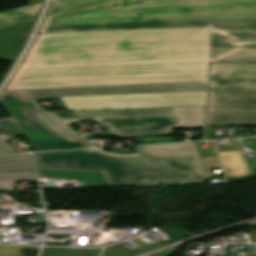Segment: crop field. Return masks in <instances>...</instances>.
<instances>
[{"mask_svg": "<svg viewBox=\"0 0 256 256\" xmlns=\"http://www.w3.org/2000/svg\"><path fill=\"white\" fill-rule=\"evenodd\" d=\"M38 1H40V0H30V4H34V3L38 2Z\"/></svg>", "mask_w": 256, "mask_h": 256, "instance_id": "21", "label": "crop field"}, {"mask_svg": "<svg viewBox=\"0 0 256 256\" xmlns=\"http://www.w3.org/2000/svg\"><path fill=\"white\" fill-rule=\"evenodd\" d=\"M227 177L249 175V168L242 150L218 152Z\"/></svg>", "mask_w": 256, "mask_h": 256, "instance_id": "11", "label": "crop field"}, {"mask_svg": "<svg viewBox=\"0 0 256 256\" xmlns=\"http://www.w3.org/2000/svg\"><path fill=\"white\" fill-rule=\"evenodd\" d=\"M139 1L140 0H56L52 1L45 20Z\"/></svg>", "mask_w": 256, "mask_h": 256, "instance_id": "10", "label": "crop field"}, {"mask_svg": "<svg viewBox=\"0 0 256 256\" xmlns=\"http://www.w3.org/2000/svg\"><path fill=\"white\" fill-rule=\"evenodd\" d=\"M24 249L38 251L36 247L0 246V256H24Z\"/></svg>", "mask_w": 256, "mask_h": 256, "instance_id": "18", "label": "crop field"}, {"mask_svg": "<svg viewBox=\"0 0 256 256\" xmlns=\"http://www.w3.org/2000/svg\"><path fill=\"white\" fill-rule=\"evenodd\" d=\"M99 186H104V184H99V185H89V186H86V187H99Z\"/></svg>", "mask_w": 256, "mask_h": 256, "instance_id": "20", "label": "crop field"}, {"mask_svg": "<svg viewBox=\"0 0 256 256\" xmlns=\"http://www.w3.org/2000/svg\"><path fill=\"white\" fill-rule=\"evenodd\" d=\"M210 28V62L256 63V26Z\"/></svg>", "mask_w": 256, "mask_h": 256, "instance_id": "7", "label": "crop field"}, {"mask_svg": "<svg viewBox=\"0 0 256 256\" xmlns=\"http://www.w3.org/2000/svg\"><path fill=\"white\" fill-rule=\"evenodd\" d=\"M25 40L26 36L0 37V59L14 61Z\"/></svg>", "mask_w": 256, "mask_h": 256, "instance_id": "13", "label": "crop field"}, {"mask_svg": "<svg viewBox=\"0 0 256 256\" xmlns=\"http://www.w3.org/2000/svg\"><path fill=\"white\" fill-rule=\"evenodd\" d=\"M32 25H33V22L21 24V25L10 26V27H5V28H0V35L28 34Z\"/></svg>", "mask_w": 256, "mask_h": 256, "instance_id": "17", "label": "crop field"}, {"mask_svg": "<svg viewBox=\"0 0 256 256\" xmlns=\"http://www.w3.org/2000/svg\"><path fill=\"white\" fill-rule=\"evenodd\" d=\"M208 177L222 176L211 175L209 168L221 167L217 157L201 158Z\"/></svg>", "mask_w": 256, "mask_h": 256, "instance_id": "19", "label": "crop field"}, {"mask_svg": "<svg viewBox=\"0 0 256 256\" xmlns=\"http://www.w3.org/2000/svg\"><path fill=\"white\" fill-rule=\"evenodd\" d=\"M22 135L12 117L0 119V154L16 152L4 140Z\"/></svg>", "mask_w": 256, "mask_h": 256, "instance_id": "14", "label": "crop field"}, {"mask_svg": "<svg viewBox=\"0 0 256 256\" xmlns=\"http://www.w3.org/2000/svg\"><path fill=\"white\" fill-rule=\"evenodd\" d=\"M208 82L129 85L107 87L61 88L4 91L0 101L9 111L35 151L92 147L68 126L39 107L36 100L58 99V96L207 91Z\"/></svg>", "mask_w": 256, "mask_h": 256, "instance_id": "4", "label": "crop field"}, {"mask_svg": "<svg viewBox=\"0 0 256 256\" xmlns=\"http://www.w3.org/2000/svg\"><path fill=\"white\" fill-rule=\"evenodd\" d=\"M207 124L256 125V91L210 90Z\"/></svg>", "mask_w": 256, "mask_h": 256, "instance_id": "8", "label": "crop field"}, {"mask_svg": "<svg viewBox=\"0 0 256 256\" xmlns=\"http://www.w3.org/2000/svg\"><path fill=\"white\" fill-rule=\"evenodd\" d=\"M43 3L0 13V27L34 21Z\"/></svg>", "mask_w": 256, "mask_h": 256, "instance_id": "12", "label": "crop field"}, {"mask_svg": "<svg viewBox=\"0 0 256 256\" xmlns=\"http://www.w3.org/2000/svg\"><path fill=\"white\" fill-rule=\"evenodd\" d=\"M256 24V0H141L44 21L40 33Z\"/></svg>", "mask_w": 256, "mask_h": 256, "instance_id": "2", "label": "crop field"}, {"mask_svg": "<svg viewBox=\"0 0 256 256\" xmlns=\"http://www.w3.org/2000/svg\"><path fill=\"white\" fill-rule=\"evenodd\" d=\"M35 170L29 154L0 156V171Z\"/></svg>", "mask_w": 256, "mask_h": 256, "instance_id": "15", "label": "crop field"}, {"mask_svg": "<svg viewBox=\"0 0 256 256\" xmlns=\"http://www.w3.org/2000/svg\"><path fill=\"white\" fill-rule=\"evenodd\" d=\"M206 106L54 112L67 124L92 118L109 131L86 136L171 134L172 129L203 128Z\"/></svg>", "mask_w": 256, "mask_h": 256, "instance_id": "5", "label": "crop field"}, {"mask_svg": "<svg viewBox=\"0 0 256 256\" xmlns=\"http://www.w3.org/2000/svg\"><path fill=\"white\" fill-rule=\"evenodd\" d=\"M60 99L69 110L194 106L206 105L207 92L70 96Z\"/></svg>", "mask_w": 256, "mask_h": 256, "instance_id": "6", "label": "crop field"}, {"mask_svg": "<svg viewBox=\"0 0 256 256\" xmlns=\"http://www.w3.org/2000/svg\"><path fill=\"white\" fill-rule=\"evenodd\" d=\"M210 89L256 90V64L210 63Z\"/></svg>", "mask_w": 256, "mask_h": 256, "instance_id": "9", "label": "crop field"}, {"mask_svg": "<svg viewBox=\"0 0 256 256\" xmlns=\"http://www.w3.org/2000/svg\"><path fill=\"white\" fill-rule=\"evenodd\" d=\"M37 180L35 171L0 172V189L14 190L13 181Z\"/></svg>", "mask_w": 256, "mask_h": 256, "instance_id": "16", "label": "crop field"}, {"mask_svg": "<svg viewBox=\"0 0 256 256\" xmlns=\"http://www.w3.org/2000/svg\"><path fill=\"white\" fill-rule=\"evenodd\" d=\"M251 226H256V223H254V224H250Z\"/></svg>", "mask_w": 256, "mask_h": 256, "instance_id": "22", "label": "crop field"}, {"mask_svg": "<svg viewBox=\"0 0 256 256\" xmlns=\"http://www.w3.org/2000/svg\"><path fill=\"white\" fill-rule=\"evenodd\" d=\"M209 27L37 36L5 90L208 81Z\"/></svg>", "mask_w": 256, "mask_h": 256, "instance_id": "1", "label": "crop field"}, {"mask_svg": "<svg viewBox=\"0 0 256 256\" xmlns=\"http://www.w3.org/2000/svg\"><path fill=\"white\" fill-rule=\"evenodd\" d=\"M137 154L98 150L36 154L39 169L101 172L107 186L205 181L195 142L136 147Z\"/></svg>", "mask_w": 256, "mask_h": 256, "instance_id": "3", "label": "crop field"}]
</instances>
